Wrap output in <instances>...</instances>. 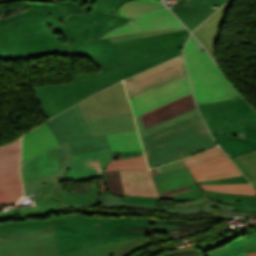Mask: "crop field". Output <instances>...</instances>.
Wrapping results in <instances>:
<instances>
[{"mask_svg":"<svg viewBox=\"0 0 256 256\" xmlns=\"http://www.w3.org/2000/svg\"><path fill=\"white\" fill-rule=\"evenodd\" d=\"M150 243L147 236L111 242L93 247L72 251L60 256H125L130 251Z\"/></svg>","mask_w":256,"mask_h":256,"instance_id":"19","label":"crop field"},{"mask_svg":"<svg viewBox=\"0 0 256 256\" xmlns=\"http://www.w3.org/2000/svg\"><path fill=\"white\" fill-rule=\"evenodd\" d=\"M240 175H241V173L239 172V170H237V171L230 172V173L219 174V175H214V176H210V177H206V178L197 179L196 181L215 180V179L240 176Z\"/></svg>","mask_w":256,"mask_h":256,"instance_id":"47","label":"crop field"},{"mask_svg":"<svg viewBox=\"0 0 256 256\" xmlns=\"http://www.w3.org/2000/svg\"><path fill=\"white\" fill-rule=\"evenodd\" d=\"M228 0H190V2H185V5L199 6L208 8L210 3L223 5Z\"/></svg>","mask_w":256,"mask_h":256,"instance_id":"44","label":"crop field"},{"mask_svg":"<svg viewBox=\"0 0 256 256\" xmlns=\"http://www.w3.org/2000/svg\"><path fill=\"white\" fill-rule=\"evenodd\" d=\"M21 194H12V195H4L0 196V205L16 202ZM1 208V206H0Z\"/></svg>","mask_w":256,"mask_h":256,"instance_id":"49","label":"crop field"},{"mask_svg":"<svg viewBox=\"0 0 256 256\" xmlns=\"http://www.w3.org/2000/svg\"><path fill=\"white\" fill-rule=\"evenodd\" d=\"M245 136L256 137V127H243Z\"/></svg>","mask_w":256,"mask_h":256,"instance_id":"50","label":"crop field"},{"mask_svg":"<svg viewBox=\"0 0 256 256\" xmlns=\"http://www.w3.org/2000/svg\"><path fill=\"white\" fill-rule=\"evenodd\" d=\"M128 1L130 0H88L90 11L87 14H76L61 21L71 44L85 33L98 34L111 18L119 15L118 8Z\"/></svg>","mask_w":256,"mask_h":256,"instance_id":"9","label":"crop field"},{"mask_svg":"<svg viewBox=\"0 0 256 256\" xmlns=\"http://www.w3.org/2000/svg\"><path fill=\"white\" fill-rule=\"evenodd\" d=\"M154 222L152 218H100V244L152 234Z\"/></svg>","mask_w":256,"mask_h":256,"instance_id":"11","label":"crop field"},{"mask_svg":"<svg viewBox=\"0 0 256 256\" xmlns=\"http://www.w3.org/2000/svg\"><path fill=\"white\" fill-rule=\"evenodd\" d=\"M226 245L229 249L211 256H246L239 238Z\"/></svg>","mask_w":256,"mask_h":256,"instance_id":"38","label":"crop field"},{"mask_svg":"<svg viewBox=\"0 0 256 256\" xmlns=\"http://www.w3.org/2000/svg\"><path fill=\"white\" fill-rule=\"evenodd\" d=\"M234 211H242V212H256V203H246L240 201L237 205H235Z\"/></svg>","mask_w":256,"mask_h":256,"instance_id":"46","label":"crop field"},{"mask_svg":"<svg viewBox=\"0 0 256 256\" xmlns=\"http://www.w3.org/2000/svg\"><path fill=\"white\" fill-rule=\"evenodd\" d=\"M185 0L179 1V8L171 9L190 29L193 30L216 10L184 6Z\"/></svg>","mask_w":256,"mask_h":256,"instance_id":"26","label":"crop field"},{"mask_svg":"<svg viewBox=\"0 0 256 256\" xmlns=\"http://www.w3.org/2000/svg\"><path fill=\"white\" fill-rule=\"evenodd\" d=\"M204 192H205V195L200 197L198 200H194L187 203H177V208L202 204L208 201L209 199H212L216 202L232 204V205H234L236 199L247 201V202H256V196H252V195L218 193V192L208 191V190H204Z\"/></svg>","mask_w":256,"mask_h":256,"instance_id":"28","label":"crop field"},{"mask_svg":"<svg viewBox=\"0 0 256 256\" xmlns=\"http://www.w3.org/2000/svg\"><path fill=\"white\" fill-rule=\"evenodd\" d=\"M102 177L108 191L114 195L125 197L120 179V170L103 171Z\"/></svg>","mask_w":256,"mask_h":256,"instance_id":"36","label":"crop field"},{"mask_svg":"<svg viewBox=\"0 0 256 256\" xmlns=\"http://www.w3.org/2000/svg\"><path fill=\"white\" fill-rule=\"evenodd\" d=\"M131 21L115 17L98 35L86 34L71 46L61 22L40 16L22 18L0 25V59L22 60L45 54L83 56L102 71L70 75L72 83L32 87L49 119L111 84L182 53L187 29L115 43L110 38L91 39Z\"/></svg>","mask_w":256,"mask_h":256,"instance_id":"1","label":"crop field"},{"mask_svg":"<svg viewBox=\"0 0 256 256\" xmlns=\"http://www.w3.org/2000/svg\"><path fill=\"white\" fill-rule=\"evenodd\" d=\"M55 236L50 220L9 222L0 225V242Z\"/></svg>","mask_w":256,"mask_h":256,"instance_id":"15","label":"crop field"},{"mask_svg":"<svg viewBox=\"0 0 256 256\" xmlns=\"http://www.w3.org/2000/svg\"><path fill=\"white\" fill-rule=\"evenodd\" d=\"M204 222H207V221H199V222H195V223L181 221V226H180L179 231L192 230L195 232H201V231L211 228V226L209 224H205Z\"/></svg>","mask_w":256,"mask_h":256,"instance_id":"41","label":"crop field"},{"mask_svg":"<svg viewBox=\"0 0 256 256\" xmlns=\"http://www.w3.org/2000/svg\"><path fill=\"white\" fill-rule=\"evenodd\" d=\"M191 93L188 77L186 76L130 101L136 117Z\"/></svg>","mask_w":256,"mask_h":256,"instance_id":"12","label":"crop field"},{"mask_svg":"<svg viewBox=\"0 0 256 256\" xmlns=\"http://www.w3.org/2000/svg\"><path fill=\"white\" fill-rule=\"evenodd\" d=\"M204 184H219V183H248L243 176L240 177H233V178H226L220 179L215 181H205V182H198Z\"/></svg>","mask_w":256,"mask_h":256,"instance_id":"45","label":"crop field"},{"mask_svg":"<svg viewBox=\"0 0 256 256\" xmlns=\"http://www.w3.org/2000/svg\"><path fill=\"white\" fill-rule=\"evenodd\" d=\"M125 195L159 197L149 170L121 171Z\"/></svg>","mask_w":256,"mask_h":256,"instance_id":"22","label":"crop field"},{"mask_svg":"<svg viewBox=\"0 0 256 256\" xmlns=\"http://www.w3.org/2000/svg\"><path fill=\"white\" fill-rule=\"evenodd\" d=\"M248 253L256 252V245H244Z\"/></svg>","mask_w":256,"mask_h":256,"instance_id":"51","label":"crop field"},{"mask_svg":"<svg viewBox=\"0 0 256 256\" xmlns=\"http://www.w3.org/2000/svg\"><path fill=\"white\" fill-rule=\"evenodd\" d=\"M59 163L58 145L23 162L21 165L23 185L55 172L59 169Z\"/></svg>","mask_w":256,"mask_h":256,"instance_id":"17","label":"crop field"},{"mask_svg":"<svg viewBox=\"0 0 256 256\" xmlns=\"http://www.w3.org/2000/svg\"><path fill=\"white\" fill-rule=\"evenodd\" d=\"M183 26L180 21L168 10L151 12L135 22L114 30L104 37L124 35L130 33L175 28ZM103 37V38H104Z\"/></svg>","mask_w":256,"mask_h":256,"instance_id":"16","label":"crop field"},{"mask_svg":"<svg viewBox=\"0 0 256 256\" xmlns=\"http://www.w3.org/2000/svg\"><path fill=\"white\" fill-rule=\"evenodd\" d=\"M46 123L25 134L22 139V162L57 145Z\"/></svg>","mask_w":256,"mask_h":256,"instance_id":"21","label":"crop field"},{"mask_svg":"<svg viewBox=\"0 0 256 256\" xmlns=\"http://www.w3.org/2000/svg\"><path fill=\"white\" fill-rule=\"evenodd\" d=\"M232 161L244 173L250 182L256 180V151L241 155Z\"/></svg>","mask_w":256,"mask_h":256,"instance_id":"33","label":"crop field"},{"mask_svg":"<svg viewBox=\"0 0 256 256\" xmlns=\"http://www.w3.org/2000/svg\"><path fill=\"white\" fill-rule=\"evenodd\" d=\"M233 1V0H232ZM232 1L223 6L201 26H199L193 33L207 48L211 55L215 58L214 46L218 39L221 25L224 20L227 9L231 6ZM216 60V58H215Z\"/></svg>","mask_w":256,"mask_h":256,"instance_id":"23","label":"crop field"},{"mask_svg":"<svg viewBox=\"0 0 256 256\" xmlns=\"http://www.w3.org/2000/svg\"><path fill=\"white\" fill-rule=\"evenodd\" d=\"M248 256H256V253L247 254Z\"/></svg>","mask_w":256,"mask_h":256,"instance_id":"56","label":"crop field"},{"mask_svg":"<svg viewBox=\"0 0 256 256\" xmlns=\"http://www.w3.org/2000/svg\"><path fill=\"white\" fill-rule=\"evenodd\" d=\"M244 244H256V238L242 239Z\"/></svg>","mask_w":256,"mask_h":256,"instance_id":"52","label":"crop field"},{"mask_svg":"<svg viewBox=\"0 0 256 256\" xmlns=\"http://www.w3.org/2000/svg\"><path fill=\"white\" fill-rule=\"evenodd\" d=\"M126 197H134V196H126ZM143 198H152V197H143ZM152 199H160V198H152Z\"/></svg>","mask_w":256,"mask_h":256,"instance_id":"55","label":"crop field"},{"mask_svg":"<svg viewBox=\"0 0 256 256\" xmlns=\"http://www.w3.org/2000/svg\"><path fill=\"white\" fill-rule=\"evenodd\" d=\"M182 55L153 69L124 80L129 98L138 97L186 76Z\"/></svg>","mask_w":256,"mask_h":256,"instance_id":"10","label":"crop field"},{"mask_svg":"<svg viewBox=\"0 0 256 256\" xmlns=\"http://www.w3.org/2000/svg\"><path fill=\"white\" fill-rule=\"evenodd\" d=\"M150 168L216 146L200 114L141 139Z\"/></svg>","mask_w":256,"mask_h":256,"instance_id":"3","label":"crop field"},{"mask_svg":"<svg viewBox=\"0 0 256 256\" xmlns=\"http://www.w3.org/2000/svg\"><path fill=\"white\" fill-rule=\"evenodd\" d=\"M192 37L184 48L187 69L197 103L233 99L240 95L223 77L207 52Z\"/></svg>","mask_w":256,"mask_h":256,"instance_id":"5","label":"crop field"},{"mask_svg":"<svg viewBox=\"0 0 256 256\" xmlns=\"http://www.w3.org/2000/svg\"><path fill=\"white\" fill-rule=\"evenodd\" d=\"M147 163L144 156L132 157L128 159L112 160L108 164L107 170L110 169H146Z\"/></svg>","mask_w":256,"mask_h":256,"instance_id":"37","label":"crop field"},{"mask_svg":"<svg viewBox=\"0 0 256 256\" xmlns=\"http://www.w3.org/2000/svg\"><path fill=\"white\" fill-rule=\"evenodd\" d=\"M112 152L141 150L137 131L106 135Z\"/></svg>","mask_w":256,"mask_h":256,"instance_id":"30","label":"crop field"},{"mask_svg":"<svg viewBox=\"0 0 256 256\" xmlns=\"http://www.w3.org/2000/svg\"><path fill=\"white\" fill-rule=\"evenodd\" d=\"M93 137L137 130L123 82L79 103Z\"/></svg>","mask_w":256,"mask_h":256,"instance_id":"4","label":"crop field"},{"mask_svg":"<svg viewBox=\"0 0 256 256\" xmlns=\"http://www.w3.org/2000/svg\"><path fill=\"white\" fill-rule=\"evenodd\" d=\"M184 28L185 27L175 28V29H167V30H159V31H151V32H144V33H137V34H131V35H125V36H116V37H111V39H112V42H114V41L138 38V37H142V36H147V35H152V34L172 31V30H178V29H184Z\"/></svg>","mask_w":256,"mask_h":256,"instance_id":"42","label":"crop field"},{"mask_svg":"<svg viewBox=\"0 0 256 256\" xmlns=\"http://www.w3.org/2000/svg\"><path fill=\"white\" fill-rule=\"evenodd\" d=\"M195 107L196 105L193 99V95L191 94L187 97L167 104L140 117L145 127H149L167 118H170L187 110L193 109Z\"/></svg>","mask_w":256,"mask_h":256,"instance_id":"24","label":"crop field"},{"mask_svg":"<svg viewBox=\"0 0 256 256\" xmlns=\"http://www.w3.org/2000/svg\"><path fill=\"white\" fill-rule=\"evenodd\" d=\"M184 167H186V166L184 165L182 160H180V161H177L175 163H170V164H166V165H163V166H160V167H156V170H157L158 174H155V175L167 173V172L174 171V170H177V169H181V168H184ZM155 175H153V176H155Z\"/></svg>","mask_w":256,"mask_h":256,"instance_id":"43","label":"crop field"},{"mask_svg":"<svg viewBox=\"0 0 256 256\" xmlns=\"http://www.w3.org/2000/svg\"><path fill=\"white\" fill-rule=\"evenodd\" d=\"M180 222L171 220H156L153 233L178 231Z\"/></svg>","mask_w":256,"mask_h":256,"instance_id":"39","label":"crop field"},{"mask_svg":"<svg viewBox=\"0 0 256 256\" xmlns=\"http://www.w3.org/2000/svg\"><path fill=\"white\" fill-rule=\"evenodd\" d=\"M254 232L245 227H241L231 233L221 236L220 238L208 243L197 244L192 248H186L177 251L165 252L159 256H209L213 253L227 249L226 243L238 238L239 236Z\"/></svg>","mask_w":256,"mask_h":256,"instance_id":"20","label":"crop field"},{"mask_svg":"<svg viewBox=\"0 0 256 256\" xmlns=\"http://www.w3.org/2000/svg\"><path fill=\"white\" fill-rule=\"evenodd\" d=\"M237 170V168L232 164V162L227 158H222L211 163L190 169V172L195 179L206 177L214 174L230 172Z\"/></svg>","mask_w":256,"mask_h":256,"instance_id":"31","label":"crop field"},{"mask_svg":"<svg viewBox=\"0 0 256 256\" xmlns=\"http://www.w3.org/2000/svg\"><path fill=\"white\" fill-rule=\"evenodd\" d=\"M225 157L224 153L221 151L220 147L202 152L200 154L191 156L189 158L183 159V162L186 164L187 168H193L210 161Z\"/></svg>","mask_w":256,"mask_h":256,"instance_id":"34","label":"crop field"},{"mask_svg":"<svg viewBox=\"0 0 256 256\" xmlns=\"http://www.w3.org/2000/svg\"><path fill=\"white\" fill-rule=\"evenodd\" d=\"M180 238L186 237L188 235L191 234H196V233H192V232H177Z\"/></svg>","mask_w":256,"mask_h":256,"instance_id":"53","label":"crop field"},{"mask_svg":"<svg viewBox=\"0 0 256 256\" xmlns=\"http://www.w3.org/2000/svg\"><path fill=\"white\" fill-rule=\"evenodd\" d=\"M161 8H165V6L157 0H133L123 4L119 9V14L137 19L149 11Z\"/></svg>","mask_w":256,"mask_h":256,"instance_id":"29","label":"crop field"},{"mask_svg":"<svg viewBox=\"0 0 256 256\" xmlns=\"http://www.w3.org/2000/svg\"><path fill=\"white\" fill-rule=\"evenodd\" d=\"M159 191L196 183L187 168L153 177Z\"/></svg>","mask_w":256,"mask_h":256,"instance_id":"27","label":"crop field"},{"mask_svg":"<svg viewBox=\"0 0 256 256\" xmlns=\"http://www.w3.org/2000/svg\"><path fill=\"white\" fill-rule=\"evenodd\" d=\"M56 238L0 243V256H56Z\"/></svg>","mask_w":256,"mask_h":256,"instance_id":"18","label":"crop field"},{"mask_svg":"<svg viewBox=\"0 0 256 256\" xmlns=\"http://www.w3.org/2000/svg\"><path fill=\"white\" fill-rule=\"evenodd\" d=\"M76 2H60L55 5L44 3H26L28 10L17 13L5 19H0V24L17 20L26 16H46L54 20H63L65 17L76 13L88 12L87 0H75Z\"/></svg>","mask_w":256,"mask_h":256,"instance_id":"14","label":"crop field"},{"mask_svg":"<svg viewBox=\"0 0 256 256\" xmlns=\"http://www.w3.org/2000/svg\"><path fill=\"white\" fill-rule=\"evenodd\" d=\"M198 113L199 112H198L197 108H195L193 110H190V111H187V112L182 113L180 115H177L175 117H172V118H170V119H168V120H166V121H164V122H162V123H160L158 125L149 127L147 129L144 128V126H143L139 116L136 117L135 119H136V123H137V127H138V131H139L140 137L142 138L144 136L150 135V134L155 133L157 131H160V130H162L164 128H167L169 126L177 124V123H179V122H181V121H183V120H185L187 118H190V117H192V116H194V115H196Z\"/></svg>","mask_w":256,"mask_h":256,"instance_id":"32","label":"crop field"},{"mask_svg":"<svg viewBox=\"0 0 256 256\" xmlns=\"http://www.w3.org/2000/svg\"><path fill=\"white\" fill-rule=\"evenodd\" d=\"M53 222L59 255L99 244V218L73 214L53 218Z\"/></svg>","mask_w":256,"mask_h":256,"instance_id":"8","label":"crop field"},{"mask_svg":"<svg viewBox=\"0 0 256 256\" xmlns=\"http://www.w3.org/2000/svg\"><path fill=\"white\" fill-rule=\"evenodd\" d=\"M46 123L59 144L69 141L73 154L110 147L105 135L91 137L78 104Z\"/></svg>","mask_w":256,"mask_h":256,"instance_id":"7","label":"crop field"},{"mask_svg":"<svg viewBox=\"0 0 256 256\" xmlns=\"http://www.w3.org/2000/svg\"><path fill=\"white\" fill-rule=\"evenodd\" d=\"M61 151V163L59 171L37 180L24 187L25 194L34 192L37 206L11 209L0 213V220L8 218H30L48 216L54 213L69 212L67 207H81L93 204L102 206H135L149 207L154 210L178 214L206 213L212 218L233 219L234 206L208 201L202 205L176 209V206L162 205L155 208L156 200L142 198H122L110 194L108 191L99 193V182L85 192H72L62 187L61 179L85 180L101 175L102 169L112 159L109 148L90 151L83 154L72 155L69 143L59 145ZM30 198V199H31ZM87 213H109L112 215L126 214L127 212H105L91 210H79ZM209 218L203 217L202 219ZM197 219V218H196ZM192 219V220H196Z\"/></svg>","mask_w":256,"mask_h":256,"instance_id":"2","label":"crop field"},{"mask_svg":"<svg viewBox=\"0 0 256 256\" xmlns=\"http://www.w3.org/2000/svg\"><path fill=\"white\" fill-rule=\"evenodd\" d=\"M191 191L179 194V195H174L166 198H161V199H169V200H187V199H197L200 196H202V192L197 189L195 184L189 185Z\"/></svg>","mask_w":256,"mask_h":256,"instance_id":"40","label":"crop field"},{"mask_svg":"<svg viewBox=\"0 0 256 256\" xmlns=\"http://www.w3.org/2000/svg\"><path fill=\"white\" fill-rule=\"evenodd\" d=\"M211 133L230 159L256 149V138L242 139L212 131Z\"/></svg>","mask_w":256,"mask_h":256,"instance_id":"25","label":"crop field"},{"mask_svg":"<svg viewBox=\"0 0 256 256\" xmlns=\"http://www.w3.org/2000/svg\"><path fill=\"white\" fill-rule=\"evenodd\" d=\"M202 189H209L218 192L241 193L256 195L255 189L250 184H220V185H204L199 184Z\"/></svg>","mask_w":256,"mask_h":256,"instance_id":"35","label":"crop field"},{"mask_svg":"<svg viewBox=\"0 0 256 256\" xmlns=\"http://www.w3.org/2000/svg\"><path fill=\"white\" fill-rule=\"evenodd\" d=\"M9 1H14V0H0V3L1 2H9ZM44 1L56 2L55 0H44Z\"/></svg>","mask_w":256,"mask_h":256,"instance_id":"54","label":"crop field"},{"mask_svg":"<svg viewBox=\"0 0 256 256\" xmlns=\"http://www.w3.org/2000/svg\"><path fill=\"white\" fill-rule=\"evenodd\" d=\"M197 105L209 130L244 138L242 126H256V113L242 97Z\"/></svg>","mask_w":256,"mask_h":256,"instance_id":"6","label":"crop field"},{"mask_svg":"<svg viewBox=\"0 0 256 256\" xmlns=\"http://www.w3.org/2000/svg\"><path fill=\"white\" fill-rule=\"evenodd\" d=\"M20 139L0 147V195L22 193L19 177Z\"/></svg>","mask_w":256,"mask_h":256,"instance_id":"13","label":"crop field"},{"mask_svg":"<svg viewBox=\"0 0 256 256\" xmlns=\"http://www.w3.org/2000/svg\"><path fill=\"white\" fill-rule=\"evenodd\" d=\"M255 188H256V186H255Z\"/></svg>","mask_w":256,"mask_h":256,"instance_id":"58","label":"crop field"},{"mask_svg":"<svg viewBox=\"0 0 256 256\" xmlns=\"http://www.w3.org/2000/svg\"><path fill=\"white\" fill-rule=\"evenodd\" d=\"M252 185L255 186V185H256V181H255V182H252Z\"/></svg>","mask_w":256,"mask_h":256,"instance_id":"57","label":"crop field"},{"mask_svg":"<svg viewBox=\"0 0 256 256\" xmlns=\"http://www.w3.org/2000/svg\"><path fill=\"white\" fill-rule=\"evenodd\" d=\"M186 191H189V188L187 185L179 188L171 189V190L161 191L159 193L161 197H166V196H170V195H174V194H178Z\"/></svg>","mask_w":256,"mask_h":256,"instance_id":"48","label":"crop field"}]
</instances>
